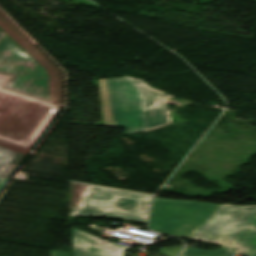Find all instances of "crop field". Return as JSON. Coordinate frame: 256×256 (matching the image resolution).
<instances>
[{
  "instance_id": "d8731c3e",
  "label": "crop field",
  "mask_w": 256,
  "mask_h": 256,
  "mask_svg": "<svg viewBox=\"0 0 256 256\" xmlns=\"http://www.w3.org/2000/svg\"><path fill=\"white\" fill-rule=\"evenodd\" d=\"M127 248L73 229L74 256H124Z\"/></svg>"
},
{
  "instance_id": "34b2d1b8",
  "label": "crop field",
  "mask_w": 256,
  "mask_h": 256,
  "mask_svg": "<svg viewBox=\"0 0 256 256\" xmlns=\"http://www.w3.org/2000/svg\"><path fill=\"white\" fill-rule=\"evenodd\" d=\"M192 239L236 248V254L254 256L256 206L220 205Z\"/></svg>"
},
{
  "instance_id": "cbeb9de0",
  "label": "crop field",
  "mask_w": 256,
  "mask_h": 256,
  "mask_svg": "<svg viewBox=\"0 0 256 256\" xmlns=\"http://www.w3.org/2000/svg\"><path fill=\"white\" fill-rule=\"evenodd\" d=\"M256 256V255H255Z\"/></svg>"
},
{
  "instance_id": "22f410ed",
  "label": "crop field",
  "mask_w": 256,
  "mask_h": 256,
  "mask_svg": "<svg viewBox=\"0 0 256 256\" xmlns=\"http://www.w3.org/2000/svg\"><path fill=\"white\" fill-rule=\"evenodd\" d=\"M7 181H8L7 178H1L0 177V191L3 188V186L6 184Z\"/></svg>"
},
{
  "instance_id": "d1516ede",
  "label": "crop field",
  "mask_w": 256,
  "mask_h": 256,
  "mask_svg": "<svg viewBox=\"0 0 256 256\" xmlns=\"http://www.w3.org/2000/svg\"><path fill=\"white\" fill-rule=\"evenodd\" d=\"M50 256H69V253L62 251H51Z\"/></svg>"
},
{
  "instance_id": "8a807250",
  "label": "crop field",
  "mask_w": 256,
  "mask_h": 256,
  "mask_svg": "<svg viewBox=\"0 0 256 256\" xmlns=\"http://www.w3.org/2000/svg\"><path fill=\"white\" fill-rule=\"evenodd\" d=\"M0 27L47 69L51 103L61 105L60 72L1 9ZM9 78L0 75V143L29 152L59 106L2 89Z\"/></svg>"
},
{
  "instance_id": "28ad6ade",
  "label": "crop field",
  "mask_w": 256,
  "mask_h": 256,
  "mask_svg": "<svg viewBox=\"0 0 256 256\" xmlns=\"http://www.w3.org/2000/svg\"><path fill=\"white\" fill-rule=\"evenodd\" d=\"M236 249L223 247L219 251H203L193 248H187L182 256H232Z\"/></svg>"
},
{
  "instance_id": "ac0d7876",
  "label": "crop field",
  "mask_w": 256,
  "mask_h": 256,
  "mask_svg": "<svg viewBox=\"0 0 256 256\" xmlns=\"http://www.w3.org/2000/svg\"><path fill=\"white\" fill-rule=\"evenodd\" d=\"M6 36L9 35L0 42V74L12 77L4 89L48 101L45 71ZM26 155L27 152L0 144V176L10 178Z\"/></svg>"
},
{
  "instance_id": "5a996713",
  "label": "crop field",
  "mask_w": 256,
  "mask_h": 256,
  "mask_svg": "<svg viewBox=\"0 0 256 256\" xmlns=\"http://www.w3.org/2000/svg\"><path fill=\"white\" fill-rule=\"evenodd\" d=\"M147 202L135 201L121 198L110 209L122 212L136 213L145 215L148 207Z\"/></svg>"
},
{
  "instance_id": "412701ff",
  "label": "crop field",
  "mask_w": 256,
  "mask_h": 256,
  "mask_svg": "<svg viewBox=\"0 0 256 256\" xmlns=\"http://www.w3.org/2000/svg\"><path fill=\"white\" fill-rule=\"evenodd\" d=\"M103 125L127 128L123 134L142 132V102L127 78L99 80Z\"/></svg>"
},
{
  "instance_id": "f4fd0767",
  "label": "crop field",
  "mask_w": 256,
  "mask_h": 256,
  "mask_svg": "<svg viewBox=\"0 0 256 256\" xmlns=\"http://www.w3.org/2000/svg\"><path fill=\"white\" fill-rule=\"evenodd\" d=\"M218 206L155 198L149 227L157 232L191 239Z\"/></svg>"
},
{
  "instance_id": "3316defc",
  "label": "crop field",
  "mask_w": 256,
  "mask_h": 256,
  "mask_svg": "<svg viewBox=\"0 0 256 256\" xmlns=\"http://www.w3.org/2000/svg\"><path fill=\"white\" fill-rule=\"evenodd\" d=\"M90 185L71 182V196H72V213L77 215V211L83 201V198Z\"/></svg>"
},
{
  "instance_id": "dd49c442",
  "label": "crop field",
  "mask_w": 256,
  "mask_h": 256,
  "mask_svg": "<svg viewBox=\"0 0 256 256\" xmlns=\"http://www.w3.org/2000/svg\"><path fill=\"white\" fill-rule=\"evenodd\" d=\"M121 197L147 202H150L152 198L151 195L91 185L78 211V214L92 217L108 216L145 222V216L109 210L110 206Z\"/></svg>"
},
{
  "instance_id": "e52e79f7",
  "label": "crop field",
  "mask_w": 256,
  "mask_h": 256,
  "mask_svg": "<svg viewBox=\"0 0 256 256\" xmlns=\"http://www.w3.org/2000/svg\"><path fill=\"white\" fill-rule=\"evenodd\" d=\"M139 89L144 98L143 122L144 130L168 123L166 95L154 92L144 86L142 81L130 79Z\"/></svg>"
}]
</instances>
